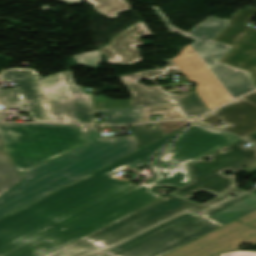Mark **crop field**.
<instances>
[{
	"label": "crop field",
	"instance_id": "crop-field-17",
	"mask_svg": "<svg viewBox=\"0 0 256 256\" xmlns=\"http://www.w3.org/2000/svg\"><path fill=\"white\" fill-rule=\"evenodd\" d=\"M96 114L104 113L108 118L103 120V124L125 125L142 122V107L122 108V109H104L95 110ZM112 114H116L113 116Z\"/></svg>",
	"mask_w": 256,
	"mask_h": 256
},
{
	"label": "crop field",
	"instance_id": "crop-field-23",
	"mask_svg": "<svg viewBox=\"0 0 256 256\" xmlns=\"http://www.w3.org/2000/svg\"><path fill=\"white\" fill-rule=\"evenodd\" d=\"M73 57L77 61L78 65L88 66L93 69H96L98 64L101 62L98 50L76 55Z\"/></svg>",
	"mask_w": 256,
	"mask_h": 256
},
{
	"label": "crop field",
	"instance_id": "crop-field-24",
	"mask_svg": "<svg viewBox=\"0 0 256 256\" xmlns=\"http://www.w3.org/2000/svg\"><path fill=\"white\" fill-rule=\"evenodd\" d=\"M189 123L190 122H188V121H169V122L158 123V125L160 126V128L162 129L163 133L166 136L174 131H177V130L185 127Z\"/></svg>",
	"mask_w": 256,
	"mask_h": 256
},
{
	"label": "crop field",
	"instance_id": "crop-field-13",
	"mask_svg": "<svg viewBox=\"0 0 256 256\" xmlns=\"http://www.w3.org/2000/svg\"><path fill=\"white\" fill-rule=\"evenodd\" d=\"M220 120L229 125L224 130L244 137L256 131V106L241 98L197 122L212 125Z\"/></svg>",
	"mask_w": 256,
	"mask_h": 256
},
{
	"label": "crop field",
	"instance_id": "crop-field-3",
	"mask_svg": "<svg viewBox=\"0 0 256 256\" xmlns=\"http://www.w3.org/2000/svg\"><path fill=\"white\" fill-rule=\"evenodd\" d=\"M171 32L196 40L172 59L210 109L256 89L247 71L218 62L231 48L212 41L228 24L210 17L189 33L173 27L157 7L152 8ZM192 50L193 54L188 51Z\"/></svg>",
	"mask_w": 256,
	"mask_h": 256
},
{
	"label": "crop field",
	"instance_id": "crop-field-16",
	"mask_svg": "<svg viewBox=\"0 0 256 256\" xmlns=\"http://www.w3.org/2000/svg\"><path fill=\"white\" fill-rule=\"evenodd\" d=\"M22 179L0 138V195Z\"/></svg>",
	"mask_w": 256,
	"mask_h": 256
},
{
	"label": "crop field",
	"instance_id": "crop-field-26",
	"mask_svg": "<svg viewBox=\"0 0 256 256\" xmlns=\"http://www.w3.org/2000/svg\"><path fill=\"white\" fill-rule=\"evenodd\" d=\"M252 194H253V193H249V194L240 196V197H238V198H236V199L227 201V202H225V203H222V204H220V205L214 207L213 209H211V210H209V211H207V212H208V214H209V216H210V215H212V214H214V213H216V212H219V211H221V210H223V209H225V208H227V207H229V206H231V205H233V204H235V203H237V202H239V201L245 199L246 197H248V196H250V195H252Z\"/></svg>",
	"mask_w": 256,
	"mask_h": 256
},
{
	"label": "crop field",
	"instance_id": "crop-field-21",
	"mask_svg": "<svg viewBox=\"0 0 256 256\" xmlns=\"http://www.w3.org/2000/svg\"><path fill=\"white\" fill-rule=\"evenodd\" d=\"M160 114L166 119H187L178 105L143 107V122L150 121L149 115Z\"/></svg>",
	"mask_w": 256,
	"mask_h": 256
},
{
	"label": "crop field",
	"instance_id": "crop-field-9",
	"mask_svg": "<svg viewBox=\"0 0 256 256\" xmlns=\"http://www.w3.org/2000/svg\"><path fill=\"white\" fill-rule=\"evenodd\" d=\"M222 225L209 218L207 212L199 216L185 213L104 253L109 256H160Z\"/></svg>",
	"mask_w": 256,
	"mask_h": 256
},
{
	"label": "crop field",
	"instance_id": "crop-field-28",
	"mask_svg": "<svg viewBox=\"0 0 256 256\" xmlns=\"http://www.w3.org/2000/svg\"><path fill=\"white\" fill-rule=\"evenodd\" d=\"M244 99L256 104V92L246 96V97H243Z\"/></svg>",
	"mask_w": 256,
	"mask_h": 256
},
{
	"label": "crop field",
	"instance_id": "crop-field-6",
	"mask_svg": "<svg viewBox=\"0 0 256 256\" xmlns=\"http://www.w3.org/2000/svg\"><path fill=\"white\" fill-rule=\"evenodd\" d=\"M0 136L19 172L85 144L78 126L0 123Z\"/></svg>",
	"mask_w": 256,
	"mask_h": 256
},
{
	"label": "crop field",
	"instance_id": "crop-field-30",
	"mask_svg": "<svg viewBox=\"0 0 256 256\" xmlns=\"http://www.w3.org/2000/svg\"><path fill=\"white\" fill-rule=\"evenodd\" d=\"M67 3H82V0H60Z\"/></svg>",
	"mask_w": 256,
	"mask_h": 256
},
{
	"label": "crop field",
	"instance_id": "crop-field-10",
	"mask_svg": "<svg viewBox=\"0 0 256 256\" xmlns=\"http://www.w3.org/2000/svg\"><path fill=\"white\" fill-rule=\"evenodd\" d=\"M242 243L256 246V210L163 256H218Z\"/></svg>",
	"mask_w": 256,
	"mask_h": 256
},
{
	"label": "crop field",
	"instance_id": "crop-field-5",
	"mask_svg": "<svg viewBox=\"0 0 256 256\" xmlns=\"http://www.w3.org/2000/svg\"><path fill=\"white\" fill-rule=\"evenodd\" d=\"M202 210V204L171 193L48 256H88L184 211Z\"/></svg>",
	"mask_w": 256,
	"mask_h": 256
},
{
	"label": "crop field",
	"instance_id": "crop-field-31",
	"mask_svg": "<svg viewBox=\"0 0 256 256\" xmlns=\"http://www.w3.org/2000/svg\"><path fill=\"white\" fill-rule=\"evenodd\" d=\"M3 114H4V111H1V110H0V121H1L2 118H3Z\"/></svg>",
	"mask_w": 256,
	"mask_h": 256
},
{
	"label": "crop field",
	"instance_id": "crop-field-20",
	"mask_svg": "<svg viewBox=\"0 0 256 256\" xmlns=\"http://www.w3.org/2000/svg\"><path fill=\"white\" fill-rule=\"evenodd\" d=\"M131 128L139 147H144L164 137L157 123L134 125Z\"/></svg>",
	"mask_w": 256,
	"mask_h": 256
},
{
	"label": "crop field",
	"instance_id": "crop-field-27",
	"mask_svg": "<svg viewBox=\"0 0 256 256\" xmlns=\"http://www.w3.org/2000/svg\"><path fill=\"white\" fill-rule=\"evenodd\" d=\"M219 256H256V252L236 251V252L219 254Z\"/></svg>",
	"mask_w": 256,
	"mask_h": 256
},
{
	"label": "crop field",
	"instance_id": "crop-field-22",
	"mask_svg": "<svg viewBox=\"0 0 256 256\" xmlns=\"http://www.w3.org/2000/svg\"><path fill=\"white\" fill-rule=\"evenodd\" d=\"M94 5V10L112 18H117L116 12L125 11L132 8L128 2L120 0H83Z\"/></svg>",
	"mask_w": 256,
	"mask_h": 256
},
{
	"label": "crop field",
	"instance_id": "crop-field-19",
	"mask_svg": "<svg viewBox=\"0 0 256 256\" xmlns=\"http://www.w3.org/2000/svg\"><path fill=\"white\" fill-rule=\"evenodd\" d=\"M256 209V194L239 202L238 204L225 209L213 216L211 218L225 224L239 216L249 213Z\"/></svg>",
	"mask_w": 256,
	"mask_h": 256
},
{
	"label": "crop field",
	"instance_id": "crop-field-29",
	"mask_svg": "<svg viewBox=\"0 0 256 256\" xmlns=\"http://www.w3.org/2000/svg\"><path fill=\"white\" fill-rule=\"evenodd\" d=\"M244 138L256 144V132H254Z\"/></svg>",
	"mask_w": 256,
	"mask_h": 256
},
{
	"label": "crop field",
	"instance_id": "crop-field-32",
	"mask_svg": "<svg viewBox=\"0 0 256 256\" xmlns=\"http://www.w3.org/2000/svg\"><path fill=\"white\" fill-rule=\"evenodd\" d=\"M95 256H103V255H101V254H98V255H95Z\"/></svg>",
	"mask_w": 256,
	"mask_h": 256
},
{
	"label": "crop field",
	"instance_id": "crop-field-12",
	"mask_svg": "<svg viewBox=\"0 0 256 256\" xmlns=\"http://www.w3.org/2000/svg\"><path fill=\"white\" fill-rule=\"evenodd\" d=\"M164 61H168V66L165 69H153L119 77L133 95L129 100L131 107L177 104L168 93H162L164 87L144 86L136 82L142 78L153 80L157 75L181 73L172 60Z\"/></svg>",
	"mask_w": 256,
	"mask_h": 256
},
{
	"label": "crop field",
	"instance_id": "crop-field-15",
	"mask_svg": "<svg viewBox=\"0 0 256 256\" xmlns=\"http://www.w3.org/2000/svg\"><path fill=\"white\" fill-rule=\"evenodd\" d=\"M187 128V127H185ZM185 128L164 137L142 149L135 152L134 154L100 170L110 176L112 173L123 167H132L134 169H139L153 160L179 133H181Z\"/></svg>",
	"mask_w": 256,
	"mask_h": 256
},
{
	"label": "crop field",
	"instance_id": "crop-field-8",
	"mask_svg": "<svg viewBox=\"0 0 256 256\" xmlns=\"http://www.w3.org/2000/svg\"><path fill=\"white\" fill-rule=\"evenodd\" d=\"M246 143L240 139L224 147L228 149L225 152L220 151L224 149L222 148L188 164L191 183L173 193L189 198L196 192L205 191L217 196L237 185L234 175L228 177L222 172L256 171V148L243 146ZM206 157L212 160L208 162L202 160ZM243 166L249 168L245 170L241 168Z\"/></svg>",
	"mask_w": 256,
	"mask_h": 256
},
{
	"label": "crop field",
	"instance_id": "crop-field-14",
	"mask_svg": "<svg viewBox=\"0 0 256 256\" xmlns=\"http://www.w3.org/2000/svg\"><path fill=\"white\" fill-rule=\"evenodd\" d=\"M151 33L143 21L134 24L125 32L112 39L107 47L98 49L100 54L108 55V63L111 64H133L142 60L136 46L143 45L140 36H150Z\"/></svg>",
	"mask_w": 256,
	"mask_h": 256
},
{
	"label": "crop field",
	"instance_id": "crop-field-18",
	"mask_svg": "<svg viewBox=\"0 0 256 256\" xmlns=\"http://www.w3.org/2000/svg\"><path fill=\"white\" fill-rule=\"evenodd\" d=\"M171 94L187 112L190 118L198 117L209 111L196 91Z\"/></svg>",
	"mask_w": 256,
	"mask_h": 256
},
{
	"label": "crop field",
	"instance_id": "crop-field-11",
	"mask_svg": "<svg viewBox=\"0 0 256 256\" xmlns=\"http://www.w3.org/2000/svg\"><path fill=\"white\" fill-rule=\"evenodd\" d=\"M255 16L254 8L238 9L214 41L234 46L220 62L248 70L256 84V30L246 25Z\"/></svg>",
	"mask_w": 256,
	"mask_h": 256
},
{
	"label": "crop field",
	"instance_id": "crop-field-4",
	"mask_svg": "<svg viewBox=\"0 0 256 256\" xmlns=\"http://www.w3.org/2000/svg\"><path fill=\"white\" fill-rule=\"evenodd\" d=\"M2 79L18 84L0 89L6 106L30 111L34 121L93 124L91 95L74 85L69 71L41 78L33 69H8Z\"/></svg>",
	"mask_w": 256,
	"mask_h": 256
},
{
	"label": "crop field",
	"instance_id": "crop-field-7",
	"mask_svg": "<svg viewBox=\"0 0 256 256\" xmlns=\"http://www.w3.org/2000/svg\"><path fill=\"white\" fill-rule=\"evenodd\" d=\"M191 125L150 167L158 176L149 186L179 188L189 183L186 164L238 139L229 133Z\"/></svg>",
	"mask_w": 256,
	"mask_h": 256
},
{
	"label": "crop field",
	"instance_id": "crop-field-2",
	"mask_svg": "<svg viewBox=\"0 0 256 256\" xmlns=\"http://www.w3.org/2000/svg\"><path fill=\"white\" fill-rule=\"evenodd\" d=\"M87 144L21 172L24 180L0 196V218L137 150L133 135L99 138L79 126Z\"/></svg>",
	"mask_w": 256,
	"mask_h": 256
},
{
	"label": "crop field",
	"instance_id": "crop-field-25",
	"mask_svg": "<svg viewBox=\"0 0 256 256\" xmlns=\"http://www.w3.org/2000/svg\"><path fill=\"white\" fill-rule=\"evenodd\" d=\"M245 192H247V191L240 190V189H237V188L234 187L231 190L225 192L224 194L216 197L215 199L204 203L203 205H204L205 209H208V208H210V207H212V206H214V205H216V204H218V203L228 199L229 195L232 194V193L240 195V194H243Z\"/></svg>",
	"mask_w": 256,
	"mask_h": 256
},
{
	"label": "crop field",
	"instance_id": "crop-field-1",
	"mask_svg": "<svg viewBox=\"0 0 256 256\" xmlns=\"http://www.w3.org/2000/svg\"><path fill=\"white\" fill-rule=\"evenodd\" d=\"M99 171L0 220V256H43L160 197Z\"/></svg>",
	"mask_w": 256,
	"mask_h": 256
}]
</instances>
